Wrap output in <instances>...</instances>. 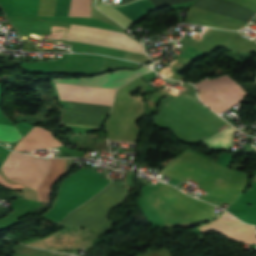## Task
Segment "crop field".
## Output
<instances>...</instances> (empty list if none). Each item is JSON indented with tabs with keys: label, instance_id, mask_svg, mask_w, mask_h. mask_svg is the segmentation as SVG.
Here are the masks:
<instances>
[{
	"label": "crop field",
	"instance_id": "f4fd0767",
	"mask_svg": "<svg viewBox=\"0 0 256 256\" xmlns=\"http://www.w3.org/2000/svg\"><path fill=\"white\" fill-rule=\"evenodd\" d=\"M153 191L189 215L198 223H205L215 217L217 214L212 212L214 206L201 200L191 198L177 191L176 189L162 183Z\"/></svg>",
	"mask_w": 256,
	"mask_h": 256
},
{
	"label": "crop field",
	"instance_id": "28ad6ade",
	"mask_svg": "<svg viewBox=\"0 0 256 256\" xmlns=\"http://www.w3.org/2000/svg\"><path fill=\"white\" fill-rule=\"evenodd\" d=\"M70 32L82 33V34L93 35V36L125 41V42L138 43L136 40L126 36L124 33L102 30L94 27L73 25Z\"/></svg>",
	"mask_w": 256,
	"mask_h": 256
},
{
	"label": "crop field",
	"instance_id": "3316defc",
	"mask_svg": "<svg viewBox=\"0 0 256 256\" xmlns=\"http://www.w3.org/2000/svg\"><path fill=\"white\" fill-rule=\"evenodd\" d=\"M62 144L51 132L35 126L15 147L19 151H31L37 147H54Z\"/></svg>",
	"mask_w": 256,
	"mask_h": 256
},
{
	"label": "crop field",
	"instance_id": "34b2d1b8",
	"mask_svg": "<svg viewBox=\"0 0 256 256\" xmlns=\"http://www.w3.org/2000/svg\"><path fill=\"white\" fill-rule=\"evenodd\" d=\"M200 99L217 113L238 104L247 95L234 79L225 75L196 84Z\"/></svg>",
	"mask_w": 256,
	"mask_h": 256
},
{
	"label": "crop field",
	"instance_id": "cbeb9de0",
	"mask_svg": "<svg viewBox=\"0 0 256 256\" xmlns=\"http://www.w3.org/2000/svg\"><path fill=\"white\" fill-rule=\"evenodd\" d=\"M0 128L9 141L18 140L21 137L19 132L15 128V126L0 124ZM1 130H0V140L8 141L7 138L4 136V134L1 132Z\"/></svg>",
	"mask_w": 256,
	"mask_h": 256
},
{
	"label": "crop field",
	"instance_id": "412701ff",
	"mask_svg": "<svg viewBox=\"0 0 256 256\" xmlns=\"http://www.w3.org/2000/svg\"><path fill=\"white\" fill-rule=\"evenodd\" d=\"M48 169V161L37 157L11 152L2 166L10 178L36 189Z\"/></svg>",
	"mask_w": 256,
	"mask_h": 256
},
{
	"label": "crop field",
	"instance_id": "d8731c3e",
	"mask_svg": "<svg viewBox=\"0 0 256 256\" xmlns=\"http://www.w3.org/2000/svg\"><path fill=\"white\" fill-rule=\"evenodd\" d=\"M150 70L151 69L149 67L143 66L135 71H114L102 76L84 79H53L52 82L118 88L133 79L135 76L149 72Z\"/></svg>",
	"mask_w": 256,
	"mask_h": 256
},
{
	"label": "crop field",
	"instance_id": "d1516ede",
	"mask_svg": "<svg viewBox=\"0 0 256 256\" xmlns=\"http://www.w3.org/2000/svg\"><path fill=\"white\" fill-rule=\"evenodd\" d=\"M55 0H41L37 15H52ZM70 0H56L53 15L68 16Z\"/></svg>",
	"mask_w": 256,
	"mask_h": 256
},
{
	"label": "crop field",
	"instance_id": "22f410ed",
	"mask_svg": "<svg viewBox=\"0 0 256 256\" xmlns=\"http://www.w3.org/2000/svg\"><path fill=\"white\" fill-rule=\"evenodd\" d=\"M215 221L223 222V223L229 225L230 227H232L238 231H241V232L256 233L254 227H251V226L241 223L240 221H238L235 217H233L226 211Z\"/></svg>",
	"mask_w": 256,
	"mask_h": 256
},
{
	"label": "crop field",
	"instance_id": "dd49c442",
	"mask_svg": "<svg viewBox=\"0 0 256 256\" xmlns=\"http://www.w3.org/2000/svg\"><path fill=\"white\" fill-rule=\"evenodd\" d=\"M60 100L111 106L116 89L55 83Z\"/></svg>",
	"mask_w": 256,
	"mask_h": 256
},
{
	"label": "crop field",
	"instance_id": "8a807250",
	"mask_svg": "<svg viewBox=\"0 0 256 256\" xmlns=\"http://www.w3.org/2000/svg\"><path fill=\"white\" fill-rule=\"evenodd\" d=\"M159 174L170 176L184 182L192 179L210 193L203 200L219 206L224 202L233 203L244 188V186L221 179L177 158Z\"/></svg>",
	"mask_w": 256,
	"mask_h": 256
},
{
	"label": "crop field",
	"instance_id": "ac0d7876",
	"mask_svg": "<svg viewBox=\"0 0 256 256\" xmlns=\"http://www.w3.org/2000/svg\"><path fill=\"white\" fill-rule=\"evenodd\" d=\"M125 189L110 183L101 193L75 211L107 218L111 209L126 198ZM87 214L71 212L60 224L97 230L106 220Z\"/></svg>",
	"mask_w": 256,
	"mask_h": 256
},
{
	"label": "crop field",
	"instance_id": "5a996713",
	"mask_svg": "<svg viewBox=\"0 0 256 256\" xmlns=\"http://www.w3.org/2000/svg\"><path fill=\"white\" fill-rule=\"evenodd\" d=\"M66 39L70 40L71 50L74 52H92L105 55H114L123 58L126 51L116 50V42L74 36L65 34Z\"/></svg>",
	"mask_w": 256,
	"mask_h": 256
},
{
	"label": "crop field",
	"instance_id": "5142ce71",
	"mask_svg": "<svg viewBox=\"0 0 256 256\" xmlns=\"http://www.w3.org/2000/svg\"><path fill=\"white\" fill-rule=\"evenodd\" d=\"M255 20H256V16H255Z\"/></svg>",
	"mask_w": 256,
	"mask_h": 256
},
{
	"label": "crop field",
	"instance_id": "e52e79f7",
	"mask_svg": "<svg viewBox=\"0 0 256 256\" xmlns=\"http://www.w3.org/2000/svg\"><path fill=\"white\" fill-rule=\"evenodd\" d=\"M96 7L127 28L150 11L156 9L147 0H136L124 6L98 4Z\"/></svg>",
	"mask_w": 256,
	"mask_h": 256
}]
</instances>
